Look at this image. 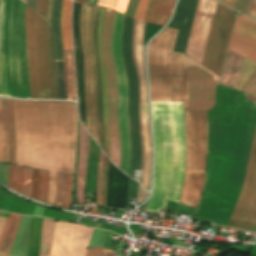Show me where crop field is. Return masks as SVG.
<instances>
[{"label":"crop field","mask_w":256,"mask_h":256,"mask_svg":"<svg viewBox=\"0 0 256 256\" xmlns=\"http://www.w3.org/2000/svg\"><path fill=\"white\" fill-rule=\"evenodd\" d=\"M15 164L49 170L47 203L56 195L57 171L74 174L78 116L71 101L13 99Z\"/></svg>","instance_id":"crop-field-3"},{"label":"crop field","mask_w":256,"mask_h":256,"mask_svg":"<svg viewBox=\"0 0 256 256\" xmlns=\"http://www.w3.org/2000/svg\"><path fill=\"white\" fill-rule=\"evenodd\" d=\"M67 100H75V83L72 51H63Z\"/></svg>","instance_id":"crop-field-28"},{"label":"crop field","mask_w":256,"mask_h":256,"mask_svg":"<svg viewBox=\"0 0 256 256\" xmlns=\"http://www.w3.org/2000/svg\"><path fill=\"white\" fill-rule=\"evenodd\" d=\"M198 0H179L173 20L167 27L178 30L173 51L185 52Z\"/></svg>","instance_id":"crop-field-17"},{"label":"crop field","mask_w":256,"mask_h":256,"mask_svg":"<svg viewBox=\"0 0 256 256\" xmlns=\"http://www.w3.org/2000/svg\"><path fill=\"white\" fill-rule=\"evenodd\" d=\"M58 99H65L63 60L55 61Z\"/></svg>","instance_id":"crop-field-32"},{"label":"crop field","mask_w":256,"mask_h":256,"mask_svg":"<svg viewBox=\"0 0 256 256\" xmlns=\"http://www.w3.org/2000/svg\"><path fill=\"white\" fill-rule=\"evenodd\" d=\"M230 221L256 227V136L250 154L244 182ZM232 222L229 223V227L256 232L255 227Z\"/></svg>","instance_id":"crop-field-11"},{"label":"crop field","mask_w":256,"mask_h":256,"mask_svg":"<svg viewBox=\"0 0 256 256\" xmlns=\"http://www.w3.org/2000/svg\"><path fill=\"white\" fill-rule=\"evenodd\" d=\"M219 78L190 59L189 111L209 110L214 106L215 86Z\"/></svg>","instance_id":"crop-field-14"},{"label":"crop field","mask_w":256,"mask_h":256,"mask_svg":"<svg viewBox=\"0 0 256 256\" xmlns=\"http://www.w3.org/2000/svg\"><path fill=\"white\" fill-rule=\"evenodd\" d=\"M188 63L189 57L185 56L183 98L186 127V173L179 203L196 208L204 183L207 111L188 112Z\"/></svg>","instance_id":"crop-field-5"},{"label":"crop field","mask_w":256,"mask_h":256,"mask_svg":"<svg viewBox=\"0 0 256 256\" xmlns=\"http://www.w3.org/2000/svg\"><path fill=\"white\" fill-rule=\"evenodd\" d=\"M176 33L177 30L166 28L148 46L151 103L182 102L184 55L172 52ZM151 108L155 172L152 196L146 210L158 212L168 200L178 202L183 185V103L151 104Z\"/></svg>","instance_id":"crop-field-1"},{"label":"crop field","mask_w":256,"mask_h":256,"mask_svg":"<svg viewBox=\"0 0 256 256\" xmlns=\"http://www.w3.org/2000/svg\"><path fill=\"white\" fill-rule=\"evenodd\" d=\"M101 252L100 248L94 247L93 250L88 249L86 256H99Z\"/></svg>","instance_id":"crop-field-47"},{"label":"crop field","mask_w":256,"mask_h":256,"mask_svg":"<svg viewBox=\"0 0 256 256\" xmlns=\"http://www.w3.org/2000/svg\"><path fill=\"white\" fill-rule=\"evenodd\" d=\"M103 157H104V154L100 150V154H99V167H98V178H97V186H96L97 204H99V205H100V198H101V176H102V169H103Z\"/></svg>","instance_id":"crop-field-39"},{"label":"crop field","mask_w":256,"mask_h":256,"mask_svg":"<svg viewBox=\"0 0 256 256\" xmlns=\"http://www.w3.org/2000/svg\"><path fill=\"white\" fill-rule=\"evenodd\" d=\"M80 1H85L86 2L87 0H80Z\"/></svg>","instance_id":"crop-field-53"},{"label":"crop field","mask_w":256,"mask_h":256,"mask_svg":"<svg viewBox=\"0 0 256 256\" xmlns=\"http://www.w3.org/2000/svg\"><path fill=\"white\" fill-rule=\"evenodd\" d=\"M219 2L232 7L242 13H246L251 0H218Z\"/></svg>","instance_id":"crop-field-34"},{"label":"crop field","mask_w":256,"mask_h":256,"mask_svg":"<svg viewBox=\"0 0 256 256\" xmlns=\"http://www.w3.org/2000/svg\"><path fill=\"white\" fill-rule=\"evenodd\" d=\"M138 3H139V0H129L124 14L133 18L136 8L138 6Z\"/></svg>","instance_id":"crop-field-42"},{"label":"crop field","mask_w":256,"mask_h":256,"mask_svg":"<svg viewBox=\"0 0 256 256\" xmlns=\"http://www.w3.org/2000/svg\"><path fill=\"white\" fill-rule=\"evenodd\" d=\"M146 23L135 21L133 27L132 36V53L133 59L138 75L139 83V127L142 142V165L143 169L142 182L141 185L149 190L150 186V175H151V161H152V151H151V141L149 133V113H148V103H147V88H146V78H145V66H144V42L143 34Z\"/></svg>","instance_id":"crop-field-7"},{"label":"crop field","mask_w":256,"mask_h":256,"mask_svg":"<svg viewBox=\"0 0 256 256\" xmlns=\"http://www.w3.org/2000/svg\"><path fill=\"white\" fill-rule=\"evenodd\" d=\"M61 2L62 0H54L53 6L52 26L54 36L55 60L62 59V43L60 28Z\"/></svg>","instance_id":"crop-field-25"},{"label":"crop field","mask_w":256,"mask_h":256,"mask_svg":"<svg viewBox=\"0 0 256 256\" xmlns=\"http://www.w3.org/2000/svg\"><path fill=\"white\" fill-rule=\"evenodd\" d=\"M64 179H65V174L58 172V176H57V195H56L55 205L61 206V207H62L63 198H64Z\"/></svg>","instance_id":"crop-field-35"},{"label":"crop field","mask_w":256,"mask_h":256,"mask_svg":"<svg viewBox=\"0 0 256 256\" xmlns=\"http://www.w3.org/2000/svg\"><path fill=\"white\" fill-rule=\"evenodd\" d=\"M6 1L7 0H1V6H0V41H1L4 92H5V96H8V97H11V92H12V97L30 99L25 27H24L25 3L21 0H8L7 13H6ZM5 13H6V26H7L11 92H10V80H9ZM1 54H0V95L4 96Z\"/></svg>","instance_id":"crop-field-4"},{"label":"crop field","mask_w":256,"mask_h":256,"mask_svg":"<svg viewBox=\"0 0 256 256\" xmlns=\"http://www.w3.org/2000/svg\"><path fill=\"white\" fill-rule=\"evenodd\" d=\"M89 134L79 123V159L77 169V203H84V182L86 174Z\"/></svg>","instance_id":"crop-field-19"},{"label":"crop field","mask_w":256,"mask_h":256,"mask_svg":"<svg viewBox=\"0 0 256 256\" xmlns=\"http://www.w3.org/2000/svg\"><path fill=\"white\" fill-rule=\"evenodd\" d=\"M25 2V0H23Z\"/></svg>","instance_id":"crop-field-54"},{"label":"crop field","mask_w":256,"mask_h":256,"mask_svg":"<svg viewBox=\"0 0 256 256\" xmlns=\"http://www.w3.org/2000/svg\"><path fill=\"white\" fill-rule=\"evenodd\" d=\"M133 19L126 17L122 34V52L129 83V128L131 144V165L129 176L133 178L134 169H140L141 142L138 127V83L131 54Z\"/></svg>","instance_id":"crop-field-8"},{"label":"crop field","mask_w":256,"mask_h":256,"mask_svg":"<svg viewBox=\"0 0 256 256\" xmlns=\"http://www.w3.org/2000/svg\"><path fill=\"white\" fill-rule=\"evenodd\" d=\"M99 10H100V7L95 5L93 30H92V47H93L95 73H96V85H97L100 147L104 151L102 87H101V76H100L98 50H97V24H98Z\"/></svg>","instance_id":"crop-field-18"},{"label":"crop field","mask_w":256,"mask_h":256,"mask_svg":"<svg viewBox=\"0 0 256 256\" xmlns=\"http://www.w3.org/2000/svg\"><path fill=\"white\" fill-rule=\"evenodd\" d=\"M80 21H81V18H80ZM73 29V27H72ZM73 45H74V41H73ZM83 48V47H82ZM74 59H75V54H74ZM75 71H76V68H75ZM76 84H77V81H76ZM78 96V95H77ZM85 109H86V93H85ZM78 110H79V106H78ZM86 116H87V110H86ZM79 118H80V114H79ZM80 121L81 123L85 126V128L88 130L89 132V129L88 127L85 125V123L82 121V119L80 118ZM87 123H88V120H87Z\"/></svg>","instance_id":"crop-field-48"},{"label":"crop field","mask_w":256,"mask_h":256,"mask_svg":"<svg viewBox=\"0 0 256 256\" xmlns=\"http://www.w3.org/2000/svg\"><path fill=\"white\" fill-rule=\"evenodd\" d=\"M237 57H238L237 54H235L231 51H228V55H227V59H226V63H225V67L223 70L220 84L230 87L234 69H235V65H236V61H237ZM243 59L244 58L241 56L238 57V61H237V65H236V69H235V73H234V77H233V81H232V85H231V87L234 89L236 88V84L238 81V77H239V73L241 70L242 63H243Z\"/></svg>","instance_id":"crop-field-23"},{"label":"crop field","mask_w":256,"mask_h":256,"mask_svg":"<svg viewBox=\"0 0 256 256\" xmlns=\"http://www.w3.org/2000/svg\"><path fill=\"white\" fill-rule=\"evenodd\" d=\"M116 11L107 9L103 25V52L107 76V96L111 154L110 159L118 166L120 165L119 130L117 112V90L114 65L111 57V32Z\"/></svg>","instance_id":"crop-field-10"},{"label":"crop field","mask_w":256,"mask_h":256,"mask_svg":"<svg viewBox=\"0 0 256 256\" xmlns=\"http://www.w3.org/2000/svg\"><path fill=\"white\" fill-rule=\"evenodd\" d=\"M31 174H32V169L24 167L23 194L29 197L31 195Z\"/></svg>","instance_id":"crop-field-38"},{"label":"crop field","mask_w":256,"mask_h":256,"mask_svg":"<svg viewBox=\"0 0 256 256\" xmlns=\"http://www.w3.org/2000/svg\"><path fill=\"white\" fill-rule=\"evenodd\" d=\"M94 5L84 3L81 32L86 59L87 110L90 134L99 145L95 73L91 48V23Z\"/></svg>","instance_id":"crop-field-12"},{"label":"crop field","mask_w":256,"mask_h":256,"mask_svg":"<svg viewBox=\"0 0 256 256\" xmlns=\"http://www.w3.org/2000/svg\"><path fill=\"white\" fill-rule=\"evenodd\" d=\"M73 178H74V175L66 174L65 199H64L63 207L69 208V209L71 208L70 194H71V189H72V185H73Z\"/></svg>","instance_id":"crop-field-36"},{"label":"crop field","mask_w":256,"mask_h":256,"mask_svg":"<svg viewBox=\"0 0 256 256\" xmlns=\"http://www.w3.org/2000/svg\"><path fill=\"white\" fill-rule=\"evenodd\" d=\"M35 11L36 0H26ZM26 5L25 27L31 99H51L50 76L45 28L47 0H37L36 12Z\"/></svg>","instance_id":"crop-field-6"},{"label":"crop field","mask_w":256,"mask_h":256,"mask_svg":"<svg viewBox=\"0 0 256 256\" xmlns=\"http://www.w3.org/2000/svg\"><path fill=\"white\" fill-rule=\"evenodd\" d=\"M233 11L217 5L201 65L220 77L235 22Z\"/></svg>","instance_id":"crop-field-9"},{"label":"crop field","mask_w":256,"mask_h":256,"mask_svg":"<svg viewBox=\"0 0 256 256\" xmlns=\"http://www.w3.org/2000/svg\"><path fill=\"white\" fill-rule=\"evenodd\" d=\"M9 162V131L6 98L0 96V163Z\"/></svg>","instance_id":"crop-field-22"},{"label":"crop field","mask_w":256,"mask_h":256,"mask_svg":"<svg viewBox=\"0 0 256 256\" xmlns=\"http://www.w3.org/2000/svg\"><path fill=\"white\" fill-rule=\"evenodd\" d=\"M106 8L101 7L99 24H98V50L101 66L102 87H103V110H104V130H105V154L109 157L110 142H109V128H108V113H107V97H106V76L102 52V25Z\"/></svg>","instance_id":"crop-field-21"},{"label":"crop field","mask_w":256,"mask_h":256,"mask_svg":"<svg viewBox=\"0 0 256 256\" xmlns=\"http://www.w3.org/2000/svg\"><path fill=\"white\" fill-rule=\"evenodd\" d=\"M97 1H98V0H88L87 2L93 3V4H97Z\"/></svg>","instance_id":"crop-field-51"},{"label":"crop field","mask_w":256,"mask_h":256,"mask_svg":"<svg viewBox=\"0 0 256 256\" xmlns=\"http://www.w3.org/2000/svg\"><path fill=\"white\" fill-rule=\"evenodd\" d=\"M39 180H40V170L33 169L32 175V198H38L39 193Z\"/></svg>","instance_id":"crop-field-40"},{"label":"crop field","mask_w":256,"mask_h":256,"mask_svg":"<svg viewBox=\"0 0 256 256\" xmlns=\"http://www.w3.org/2000/svg\"><path fill=\"white\" fill-rule=\"evenodd\" d=\"M148 193L139 185L138 196L136 204H140L146 200Z\"/></svg>","instance_id":"crop-field-45"},{"label":"crop field","mask_w":256,"mask_h":256,"mask_svg":"<svg viewBox=\"0 0 256 256\" xmlns=\"http://www.w3.org/2000/svg\"><path fill=\"white\" fill-rule=\"evenodd\" d=\"M217 1V0H216Z\"/></svg>","instance_id":"crop-field-55"},{"label":"crop field","mask_w":256,"mask_h":256,"mask_svg":"<svg viewBox=\"0 0 256 256\" xmlns=\"http://www.w3.org/2000/svg\"><path fill=\"white\" fill-rule=\"evenodd\" d=\"M48 171L41 170L40 196L39 201L45 202L47 199Z\"/></svg>","instance_id":"crop-field-37"},{"label":"crop field","mask_w":256,"mask_h":256,"mask_svg":"<svg viewBox=\"0 0 256 256\" xmlns=\"http://www.w3.org/2000/svg\"><path fill=\"white\" fill-rule=\"evenodd\" d=\"M22 216L11 214L0 238V252L9 253L16 229Z\"/></svg>","instance_id":"crop-field-26"},{"label":"crop field","mask_w":256,"mask_h":256,"mask_svg":"<svg viewBox=\"0 0 256 256\" xmlns=\"http://www.w3.org/2000/svg\"><path fill=\"white\" fill-rule=\"evenodd\" d=\"M54 223L52 220H42L40 256H49Z\"/></svg>","instance_id":"crop-field-29"},{"label":"crop field","mask_w":256,"mask_h":256,"mask_svg":"<svg viewBox=\"0 0 256 256\" xmlns=\"http://www.w3.org/2000/svg\"><path fill=\"white\" fill-rule=\"evenodd\" d=\"M6 222H7L6 218H0V235L5 227Z\"/></svg>","instance_id":"crop-field-50"},{"label":"crop field","mask_w":256,"mask_h":256,"mask_svg":"<svg viewBox=\"0 0 256 256\" xmlns=\"http://www.w3.org/2000/svg\"><path fill=\"white\" fill-rule=\"evenodd\" d=\"M242 91H246L256 97V72L243 87Z\"/></svg>","instance_id":"crop-field-41"},{"label":"crop field","mask_w":256,"mask_h":256,"mask_svg":"<svg viewBox=\"0 0 256 256\" xmlns=\"http://www.w3.org/2000/svg\"><path fill=\"white\" fill-rule=\"evenodd\" d=\"M246 14L256 19V0H252Z\"/></svg>","instance_id":"crop-field-46"},{"label":"crop field","mask_w":256,"mask_h":256,"mask_svg":"<svg viewBox=\"0 0 256 256\" xmlns=\"http://www.w3.org/2000/svg\"><path fill=\"white\" fill-rule=\"evenodd\" d=\"M174 2L175 0H150L142 21L164 26L171 15Z\"/></svg>","instance_id":"crop-field-20"},{"label":"crop field","mask_w":256,"mask_h":256,"mask_svg":"<svg viewBox=\"0 0 256 256\" xmlns=\"http://www.w3.org/2000/svg\"><path fill=\"white\" fill-rule=\"evenodd\" d=\"M216 5L211 0H199L185 53L198 63H201Z\"/></svg>","instance_id":"crop-field-15"},{"label":"crop field","mask_w":256,"mask_h":256,"mask_svg":"<svg viewBox=\"0 0 256 256\" xmlns=\"http://www.w3.org/2000/svg\"><path fill=\"white\" fill-rule=\"evenodd\" d=\"M0 256H11V255L0 254Z\"/></svg>","instance_id":"crop-field-52"},{"label":"crop field","mask_w":256,"mask_h":256,"mask_svg":"<svg viewBox=\"0 0 256 256\" xmlns=\"http://www.w3.org/2000/svg\"><path fill=\"white\" fill-rule=\"evenodd\" d=\"M7 104H8L9 130H10V163L14 164L15 133H14V123H13L12 99L7 98Z\"/></svg>","instance_id":"crop-field-31"},{"label":"crop field","mask_w":256,"mask_h":256,"mask_svg":"<svg viewBox=\"0 0 256 256\" xmlns=\"http://www.w3.org/2000/svg\"><path fill=\"white\" fill-rule=\"evenodd\" d=\"M256 131V103L237 94L232 124L209 121L206 186L197 220L227 226Z\"/></svg>","instance_id":"crop-field-2"},{"label":"crop field","mask_w":256,"mask_h":256,"mask_svg":"<svg viewBox=\"0 0 256 256\" xmlns=\"http://www.w3.org/2000/svg\"><path fill=\"white\" fill-rule=\"evenodd\" d=\"M138 183L129 179L128 185V197L136 198L137 196Z\"/></svg>","instance_id":"crop-field-44"},{"label":"crop field","mask_w":256,"mask_h":256,"mask_svg":"<svg viewBox=\"0 0 256 256\" xmlns=\"http://www.w3.org/2000/svg\"><path fill=\"white\" fill-rule=\"evenodd\" d=\"M23 167L10 165L8 187L22 194Z\"/></svg>","instance_id":"crop-field-30"},{"label":"crop field","mask_w":256,"mask_h":256,"mask_svg":"<svg viewBox=\"0 0 256 256\" xmlns=\"http://www.w3.org/2000/svg\"><path fill=\"white\" fill-rule=\"evenodd\" d=\"M230 50L256 62V22L243 16L237 17Z\"/></svg>","instance_id":"crop-field-16"},{"label":"crop field","mask_w":256,"mask_h":256,"mask_svg":"<svg viewBox=\"0 0 256 256\" xmlns=\"http://www.w3.org/2000/svg\"><path fill=\"white\" fill-rule=\"evenodd\" d=\"M114 253H115L114 251L107 250V249L103 248L100 256H114Z\"/></svg>","instance_id":"crop-field-49"},{"label":"crop field","mask_w":256,"mask_h":256,"mask_svg":"<svg viewBox=\"0 0 256 256\" xmlns=\"http://www.w3.org/2000/svg\"><path fill=\"white\" fill-rule=\"evenodd\" d=\"M127 2L128 0H99L97 5L124 13Z\"/></svg>","instance_id":"crop-field-33"},{"label":"crop field","mask_w":256,"mask_h":256,"mask_svg":"<svg viewBox=\"0 0 256 256\" xmlns=\"http://www.w3.org/2000/svg\"><path fill=\"white\" fill-rule=\"evenodd\" d=\"M94 229L56 222L50 256H85Z\"/></svg>","instance_id":"crop-field-13"},{"label":"crop field","mask_w":256,"mask_h":256,"mask_svg":"<svg viewBox=\"0 0 256 256\" xmlns=\"http://www.w3.org/2000/svg\"><path fill=\"white\" fill-rule=\"evenodd\" d=\"M148 1L149 0H140V3H139V6L137 8L134 19L140 20V21L142 20V17L144 15L145 9L147 7Z\"/></svg>","instance_id":"crop-field-43"},{"label":"crop field","mask_w":256,"mask_h":256,"mask_svg":"<svg viewBox=\"0 0 256 256\" xmlns=\"http://www.w3.org/2000/svg\"><path fill=\"white\" fill-rule=\"evenodd\" d=\"M52 3H53V0H48L46 26H47L48 50H49L50 73H51L52 99H57L55 67H54V53H53V40H52V27H51Z\"/></svg>","instance_id":"crop-field-24"},{"label":"crop field","mask_w":256,"mask_h":256,"mask_svg":"<svg viewBox=\"0 0 256 256\" xmlns=\"http://www.w3.org/2000/svg\"><path fill=\"white\" fill-rule=\"evenodd\" d=\"M70 11H71V0H63L62 15H61L63 50H72Z\"/></svg>","instance_id":"crop-field-27"}]
</instances>
